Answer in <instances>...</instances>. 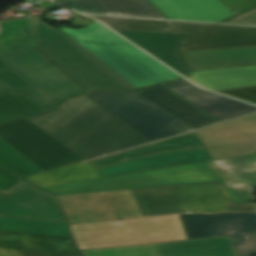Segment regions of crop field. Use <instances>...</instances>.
Masks as SVG:
<instances>
[{
	"mask_svg": "<svg viewBox=\"0 0 256 256\" xmlns=\"http://www.w3.org/2000/svg\"><path fill=\"white\" fill-rule=\"evenodd\" d=\"M29 120L85 160L150 142L84 95Z\"/></svg>",
	"mask_w": 256,
	"mask_h": 256,
	"instance_id": "8a807250",
	"label": "crop field"
},
{
	"mask_svg": "<svg viewBox=\"0 0 256 256\" xmlns=\"http://www.w3.org/2000/svg\"><path fill=\"white\" fill-rule=\"evenodd\" d=\"M218 180H224L235 204L250 203L256 154L44 189L65 195Z\"/></svg>",
	"mask_w": 256,
	"mask_h": 256,
	"instance_id": "ac0d7876",
	"label": "crop field"
},
{
	"mask_svg": "<svg viewBox=\"0 0 256 256\" xmlns=\"http://www.w3.org/2000/svg\"><path fill=\"white\" fill-rule=\"evenodd\" d=\"M0 24L2 63L55 105L84 92L36 51L32 18L0 21Z\"/></svg>",
	"mask_w": 256,
	"mask_h": 256,
	"instance_id": "34b2d1b8",
	"label": "crop field"
},
{
	"mask_svg": "<svg viewBox=\"0 0 256 256\" xmlns=\"http://www.w3.org/2000/svg\"><path fill=\"white\" fill-rule=\"evenodd\" d=\"M40 19L33 18L37 49L86 92L136 88L63 30Z\"/></svg>",
	"mask_w": 256,
	"mask_h": 256,
	"instance_id": "412701ff",
	"label": "crop field"
},
{
	"mask_svg": "<svg viewBox=\"0 0 256 256\" xmlns=\"http://www.w3.org/2000/svg\"><path fill=\"white\" fill-rule=\"evenodd\" d=\"M61 29L137 88L181 78L96 21L85 29Z\"/></svg>",
	"mask_w": 256,
	"mask_h": 256,
	"instance_id": "f4fd0767",
	"label": "crop field"
},
{
	"mask_svg": "<svg viewBox=\"0 0 256 256\" xmlns=\"http://www.w3.org/2000/svg\"><path fill=\"white\" fill-rule=\"evenodd\" d=\"M133 191L144 216L185 211H256V204L235 205L223 181Z\"/></svg>",
	"mask_w": 256,
	"mask_h": 256,
	"instance_id": "dd49c442",
	"label": "crop field"
},
{
	"mask_svg": "<svg viewBox=\"0 0 256 256\" xmlns=\"http://www.w3.org/2000/svg\"><path fill=\"white\" fill-rule=\"evenodd\" d=\"M115 222H120L116 225ZM80 249L186 239L179 216L135 218L69 225Z\"/></svg>",
	"mask_w": 256,
	"mask_h": 256,
	"instance_id": "e52e79f7",
	"label": "crop field"
},
{
	"mask_svg": "<svg viewBox=\"0 0 256 256\" xmlns=\"http://www.w3.org/2000/svg\"><path fill=\"white\" fill-rule=\"evenodd\" d=\"M86 96L151 141L193 130L132 91L96 92Z\"/></svg>",
	"mask_w": 256,
	"mask_h": 256,
	"instance_id": "d8731c3e",
	"label": "crop field"
},
{
	"mask_svg": "<svg viewBox=\"0 0 256 256\" xmlns=\"http://www.w3.org/2000/svg\"><path fill=\"white\" fill-rule=\"evenodd\" d=\"M0 138L44 171L83 161L27 119L0 126Z\"/></svg>",
	"mask_w": 256,
	"mask_h": 256,
	"instance_id": "5a996713",
	"label": "crop field"
},
{
	"mask_svg": "<svg viewBox=\"0 0 256 256\" xmlns=\"http://www.w3.org/2000/svg\"><path fill=\"white\" fill-rule=\"evenodd\" d=\"M57 197L69 224L143 217L132 190Z\"/></svg>",
	"mask_w": 256,
	"mask_h": 256,
	"instance_id": "3316defc",
	"label": "crop field"
},
{
	"mask_svg": "<svg viewBox=\"0 0 256 256\" xmlns=\"http://www.w3.org/2000/svg\"><path fill=\"white\" fill-rule=\"evenodd\" d=\"M179 216L187 239L230 235L238 256L256 255V213Z\"/></svg>",
	"mask_w": 256,
	"mask_h": 256,
	"instance_id": "28ad6ade",
	"label": "crop field"
},
{
	"mask_svg": "<svg viewBox=\"0 0 256 256\" xmlns=\"http://www.w3.org/2000/svg\"><path fill=\"white\" fill-rule=\"evenodd\" d=\"M0 215L65 222L53 195L22 181L8 192L0 190Z\"/></svg>",
	"mask_w": 256,
	"mask_h": 256,
	"instance_id": "d1516ede",
	"label": "crop field"
},
{
	"mask_svg": "<svg viewBox=\"0 0 256 256\" xmlns=\"http://www.w3.org/2000/svg\"><path fill=\"white\" fill-rule=\"evenodd\" d=\"M120 248L124 256H237L229 236Z\"/></svg>",
	"mask_w": 256,
	"mask_h": 256,
	"instance_id": "22f410ed",
	"label": "crop field"
},
{
	"mask_svg": "<svg viewBox=\"0 0 256 256\" xmlns=\"http://www.w3.org/2000/svg\"><path fill=\"white\" fill-rule=\"evenodd\" d=\"M163 86L219 121L256 110L255 106L202 90L186 80Z\"/></svg>",
	"mask_w": 256,
	"mask_h": 256,
	"instance_id": "cbeb9de0",
	"label": "crop field"
},
{
	"mask_svg": "<svg viewBox=\"0 0 256 256\" xmlns=\"http://www.w3.org/2000/svg\"><path fill=\"white\" fill-rule=\"evenodd\" d=\"M115 31L134 42L141 48L145 49L155 57L159 58L166 64L170 65L177 71L181 72L186 77L190 75L188 67L180 51L178 50L185 37L189 35L120 30Z\"/></svg>",
	"mask_w": 256,
	"mask_h": 256,
	"instance_id": "5142ce71",
	"label": "crop field"
},
{
	"mask_svg": "<svg viewBox=\"0 0 256 256\" xmlns=\"http://www.w3.org/2000/svg\"><path fill=\"white\" fill-rule=\"evenodd\" d=\"M256 45V27L218 25L187 38L182 51Z\"/></svg>",
	"mask_w": 256,
	"mask_h": 256,
	"instance_id": "d9b57169",
	"label": "crop field"
},
{
	"mask_svg": "<svg viewBox=\"0 0 256 256\" xmlns=\"http://www.w3.org/2000/svg\"><path fill=\"white\" fill-rule=\"evenodd\" d=\"M169 19L219 22L234 14L220 0H151Z\"/></svg>",
	"mask_w": 256,
	"mask_h": 256,
	"instance_id": "733c2abd",
	"label": "crop field"
},
{
	"mask_svg": "<svg viewBox=\"0 0 256 256\" xmlns=\"http://www.w3.org/2000/svg\"><path fill=\"white\" fill-rule=\"evenodd\" d=\"M58 3L79 12L167 19L148 0H62Z\"/></svg>",
	"mask_w": 256,
	"mask_h": 256,
	"instance_id": "4a817a6b",
	"label": "crop field"
},
{
	"mask_svg": "<svg viewBox=\"0 0 256 256\" xmlns=\"http://www.w3.org/2000/svg\"><path fill=\"white\" fill-rule=\"evenodd\" d=\"M134 92L194 129L218 122L161 85Z\"/></svg>",
	"mask_w": 256,
	"mask_h": 256,
	"instance_id": "bc2a9ffb",
	"label": "crop field"
},
{
	"mask_svg": "<svg viewBox=\"0 0 256 256\" xmlns=\"http://www.w3.org/2000/svg\"><path fill=\"white\" fill-rule=\"evenodd\" d=\"M182 53L191 71L256 64V46Z\"/></svg>",
	"mask_w": 256,
	"mask_h": 256,
	"instance_id": "214f88e0",
	"label": "crop field"
},
{
	"mask_svg": "<svg viewBox=\"0 0 256 256\" xmlns=\"http://www.w3.org/2000/svg\"><path fill=\"white\" fill-rule=\"evenodd\" d=\"M0 247L80 256L73 238L69 237L0 230Z\"/></svg>",
	"mask_w": 256,
	"mask_h": 256,
	"instance_id": "92a150f3",
	"label": "crop field"
},
{
	"mask_svg": "<svg viewBox=\"0 0 256 256\" xmlns=\"http://www.w3.org/2000/svg\"><path fill=\"white\" fill-rule=\"evenodd\" d=\"M191 81L209 90H225L256 85V66L193 72Z\"/></svg>",
	"mask_w": 256,
	"mask_h": 256,
	"instance_id": "dafd665d",
	"label": "crop field"
},
{
	"mask_svg": "<svg viewBox=\"0 0 256 256\" xmlns=\"http://www.w3.org/2000/svg\"><path fill=\"white\" fill-rule=\"evenodd\" d=\"M92 16V15H90ZM112 29L194 34L213 26L210 24L141 20L117 17L92 16Z\"/></svg>",
	"mask_w": 256,
	"mask_h": 256,
	"instance_id": "00972430",
	"label": "crop field"
},
{
	"mask_svg": "<svg viewBox=\"0 0 256 256\" xmlns=\"http://www.w3.org/2000/svg\"><path fill=\"white\" fill-rule=\"evenodd\" d=\"M102 178L90 161L79 162L54 170L46 171L29 177L24 180L40 187H50L92 179Z\"/></svg>",
	"mask_w": 256,
	"mask_h": 256,
	"instance_id": "a9b5d70f",
	"label": "crop field"
},
{
	"mask_svg": "<svg viewBox=\"0 0 256 256\" xmlns=\"http://www.w3.org/2000/svg\"><path fill=\"white\" fill-rule=\"evenodd\" d=\"M41 113L43 111L0 77V123Z\"/></svg>",
	"mask_w": 256,
	"mask_h": 256,
	"instance_id": "4177f3b9",
	"label": "crop field"
},
{
	"mask_svg": "<svg viewBox=\"0 0 256 256\" xmlns=\"http://www.w3.org/2000/svg\"><path fill=\"white\" fill-rule=\"evenodd\" d=\"M0 229L72 237L66 224L0 218Z\"/></svg>",
	"mask_w": 256,
	"mask_h": 256,
	"instance_id": "730fd06b",
	"label": "crop field"
},
{
	"mask_svg": "<svg viewBox=\"0 0 256 256\" xmlns=\"http://www.w3.org/2000/svg\"><path fill=\"white\" fill-rule=\"evenodd\" d=\"M0 166L22 176L43 172L40 168L0 139Z\"/></svg>",
	"mask_w": 256,
	"mask_h": 256,
	"instance_id": "eef30255",
	"label": "crop field"
},
{
	"mask_svg": "<svg viewBox=\"0 0 256 256\" xmlns=\"http://www.w3.org/2000/svg\"><path fill=\"white\" fill-rule=\"evenodd\" d=\"M0 76L37 105L44 112L53 110L56 106L23 81L19 76L0 62Z\"/></svg>",
	"mask_w": 256,
	"mask_h": 256,
	"instance_id": "ae1a2a85",
	"label": "crop field"
},
{
	"mask_svg": "<svg viewBox=\"0 0 256 256\" xmlns=\"http://www.w3.org/2000/svg\"><path fill=\"white\" fill-rule=\"evenodd\" d=\"M221 92L222 94L237 98V99H247L256 104V86L240 88V89H232L225 91H216Z\"/></svg>",
	"mask_w": 256,
	"mask_h": 256,
	"instance_id": "d3111659",
	"label": "crop field"
},
{
	"mask_svg": "<svg viewBox=\"0 0 256 256\" xmlns=\"http://www.w3.org/2000/svg\"><path fill=\"white\" fill-rule=\"evenodd\" d=\"M235 15L256 6V0H221Z\"/></svg>",
	"mask_w": 256,
	"mask_h": 256,
	"instance_id": "750c4746",
	"label": "crop field"
},
{
	"mask_svg": "<svg viewBox=\"0 0 256 256\" xmlns=\"http://www.w3.org/2000/svg\"><path fill=\"white\" fill-rule=\"evenodd\" d=\"M82 256H123L119 247L81 250Z\"/></svg>",
	"mask_w": 256,
	"mask_h": 256,
	"instance_id": "bd1437ed",
	"label": "crop field"
},
{
	"mask_svg": "<svg viewBox=\"0 0 256 256\" xmlns=\"http://www.w3.org/2000/svg\"><path fill=\"white\" fill-rule=\"evenodd\" d=\"M225 23L229 24H244V25H256V9L245 13L241 16H238L232 20H229Z\"/></svg>",
	"mask_w": 256,
	"mask_h": 256,
	"instance_id": "1d83c4d3",
	"label": "crop field"
},
{
	"mask_svg": "<svg viewBox=\"0 0 256 256\" xmlns=\"http://www.w3.org/2000/svg\"><path fill=\"white\" fill-rule=\"evenodd\" d=\"M0 189L8 191L21 180L0 169Z\"/></svg>",
	"mask_w": 256,
	"mask_h": 256,
	"instance_id": "120bbe31",
	"label": "crop field"
},
{
	"mask_svg": "<svg viewBox=\"0 0 256 256\" xmlns=\"http://www.w3.org/2000/svg\"><path fill=\"white\" fill-rule=\"evenodd\" d=\"M23 256H68V255H59V254H51V253H43V252H32V251H21Z\"/></svg>",
	"mask_w": 256,
	"mask_h": 256,
	"instance_id": "d32e631a",
	"label": "crop field"
},
{
	"mask_svg": "<svg viewBox=\"0 0 256 256\" xmlns=\"http://www.w3.org/2000/svg\"><path fill=\"white\" fill-rule=\"evenodd\" d=\"M0 256H22L18 250L0 248Z\"/></svg>",
	"mask_w": 256,
	"mask_h": 256,
	"instance_id": "5866460e",
	"label": "crop field"
}]
</instances>
